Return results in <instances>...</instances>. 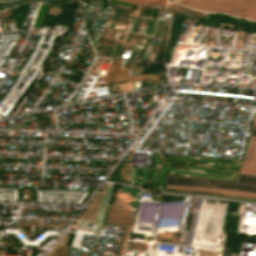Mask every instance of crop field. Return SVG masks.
<instances>
[{"label": "crop field", "instance_id": "obj_4", "mask_svg": "<svg viewBox=\"0 0 256 256\" xmlns=\"http://www.w3.org/2000/svg\"><path fill=\"white\" fill-rule=\"evenodd\" d=\"M166 188H172V189H186V190H198V191H208V192H220V193H231V194H238V195H246V196H253V197H256V194L244 193V192H236V191L209 190V189H199V188L180 187V186H170V185H166Z\"/></svg>", "mask_w": 256, "mask_h": 256}, {"label": "crop field", "instance_id": "obj_7", "mask_svg": "<svg viewBox=\"0 0 256 256\" xmlns=\"http://www.w3.org/2000/svg\"><path fill=\"white\" fill-rule=\"evenodd\" d=\"M253 124H256V113H255V118H254Z\"/></svg>", "mask_w": 256, "mask_h": 256}, {"label": "crop field", "instance_id": "obj_5", "mask_svg": "<svg viewBox=\"0 0 256 256\" xmlns=\"http://www.w3.org/2000/svg\"><path fill=\"white\" fill-rule=\"evenodd\" d=\"M130 228H131V226H127L126 227V231H125V235H124V239H123V243H122V247H121L119 256H122L123 249H124V246H125V242H126L127 236L129 235Z\"/></svg>", "mask_w": 256, "mask_h": 256}, {"label": "crop field", "instance_id": "obj_6", "mask_svg": "<svg viewBox=\"0 0 256 256\" xmlns=\"http://www.w3.org/2000/svg\"><path fill=\"white\" fill-rule=\"evenodd\" d=\"M241 173L243 174H251V175H256V171H252V170H241Z\"/></svg>", "mask_w": 256, "mask_h": 256}, {"label": "crop field", "instance_id": "obj_1", "mask_svg": "<svg viewBox=\"0 0 256 256\" xmlns=\"http://www.w3.org/2000/svg\"><path fill=\"white\" fill-rule=\"evenodd\" d=\"M183 5L209 12H222L256 21V0H183Z\"/></svg>", "mask_w": 256, "mask_h": 256}, {"label": "crop field", "instance_id": "obj_2", "mask_svg": "<svg viewBox=\"0 0 256 256\" xmlns=\"http://www.w3.org/2000/svg\"><path fill=\"white\" fill-rule=\"evenodd\" d=\"M112 186L113 184H107L97 216H96V220L94 224H97L96 226V230L94 234H99L100 230H101V226H102V220L104 218L105 212H106V208L107 205L109 203V199H110V194L112 191Z\"/></svg>", "mask_w": 256, "mask_h": 256}, {"label": "crop field", "instance_id": "obj_3", "mask_svg": "<svg viewBox=\"0 0 256 256\" xmlns=\"http://www.w3.org/2000/svg\"><path fill=\"white\" fill-rule=\"evenodd\" d=\"M242 168L256 170V139H249Z\"/></svg>", "mask_w": 256, "mask_h": 256}]
</instances>
